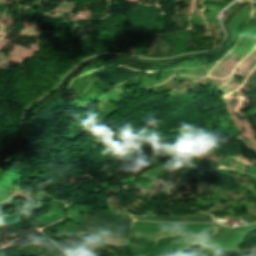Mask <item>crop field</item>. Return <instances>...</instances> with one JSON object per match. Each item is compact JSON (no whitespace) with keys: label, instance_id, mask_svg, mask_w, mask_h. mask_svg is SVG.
Returning a JSON list of instances; mask_svg holds the SVG:
<instances>
[{"label":"crop field","instance_id":"8a807250","mask_svg":"<svg viewBox=\"0 0 256 256\" xmlns=\"http://www.w3.org/2000/svg\"><path fill=\"white\" fill-rule=\"evenodd\" d=\"M132 221L105 214L89 213L84 216L80 232L128 241Z\"/></svg>","mask_w":256,"mask_h":256},{"label":"crop field","instance_id":"ac0d7876","mask_svg":"<svg viewBox=\"0 0 256 256\" xmlns=\"http://www.w3.org/2000/svg\"><path fill=\"white\" fill-rule=\"evenodd\" d=\"M145 220H165V221H213L212 219H163V218H137Z\"/></svg>","mask_w":256,"mask_h":256},{"label":"crop field","instance_id":"34b2d1b8","mask_svg":"<svg viewBox=\"0 0 256 256\" xmlns=\"http://www.w3.org/2000/svg\"><path fill=\"white\" fill-rule=\"evenodd\" d=\"M241 254L242 256H256V250L244 251Z\"/></svg>","mask_w":256,"mask_h":256}]
</instances>
